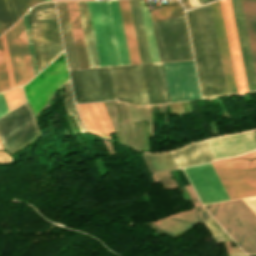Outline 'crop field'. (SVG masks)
<instances>
[{
  "label": "crop field",
  "mask_w": 256,
  "mask_h": 256,
  "mask_svg": "<svg viewBox=\"0 0 256 256\" xmlns=\"http://www.w3.org/2000/svg\"><path fill=\"white\" fill-rule=\"evenodd\" d=\"M100 67L109 66L97 1H87Z\"/></svg>",
  "instance_id": "92a150f3"
},
{
  "label": "crop field",
  "mask_w": 256,
  "mask_h": 256,
  "mask_svg": "<svg viewBox=\"0 0 256 256\" xmlns=\"http://www.w3.org/2000/svg\"><path fill=\"white\" fill-rule=\"evenodd\" d=\"M18 20L11 0H0V34Z\"/></svg>",
  "instance_id": "ae1a2a85"
},
{
  "label": "crop field",
  "mask_w": 256,
  "mask_h": 256,
  "mask_svg": "<svg viewBox=\"0 0 256 256\" xmlns=\"http://www.w3.org/2000/svg\"><path fill=\"white\" fill-rule=\"evenodd\" d=\"M157 175L164 189L176 186L169 172L159 173Z\"/></svg>",
  "instance_id": "e1f06a70"
},
{
  "label": "crop field",
  "mask_w": 256,
  "mask_h": 256,
  "mask_svg": "<svg viewBox=\"0 0 256 256\" xmlns=\"http://www.w3.org/2000/svg\"><path fill=\"white\" fill-rule=\"evenodd\" d=\"M0 149H3L1 144H0ZM9 155L5 154L4 152L0 151V162L2 163H7L10 161Z\"/></svg>",
  "instance_id": "c21b1889"
},
{
  "label": "crop field",
  "mask_w": 256,
  "mask_h": 256,
  "mask_svg": "<svg viewBox=\"0 0 256 256\" xmlns=\"http://www.w3.org/2000/svg\"><path fill=\"white\" fill-rule=\"evenodd\" d=\"M29 26L31 30L35 55L37 59L38 69L42 70L49 64L38 6L36 5L27 13Z\"/></svg>",
  "instance_id": "bc2a9ffb"
},
{
  "label": "crop field",
  "mask_w": 256,
  "mask_h": 256,
  "mask_svg": "<svg viewBox=\"0 0 256 256\" xmlns=\"http://www.w3.org/2000/svg\"><path fill=\"white\" fill-rule=\"evenodd\" d=\"M212 165L230 199L256 195V151Z\"/></svg>",
  "instance_id": "412701ff"
},
{
  "label": "crop field",
  "mask_w": 256,
  "mask_h": 256,
  "mask_svg": "<svg viewBox=\"0 0 256 256\" xmlns=\"http://www.w3.org/2000/svg\"><path fill=\"white\" fill-rule=\"evenodd\" d=\"M67 80L63 53L23 87L27 101L36 117L54 91Z\"/></svg>",
  "instance_id": "e52e79f7"
},
{
  "label": "crop field",
  "mask_w": 256,
  "mask_h": 256,
  "mask_svg": "<svg viewBox=\"0 0 256 256\" xmlns=\"http://www.w3.org/2000/svg\"><path fill=\"white\" fill-rule=\"evenodd\" d=\"M80 68L89 67L76 1L67 2Z\"/></svg>",
  "instance_id": "a9b5d70f"
},
{
  "label": "crop field",
  "mask_w": 256,
  "mask_h": 256,
  "mask_svg": "<svg viewBox=\"0 0 256 256\" xmlns=\"http://www.w3.org/2000/svg\"><path fill=\"white\" fill-rule=\"evenodd\" d=\"M186 15L202 97L227 95L209 4Z\"/></svg>",
  "instance_id": "8a807250"
},
{
  "label": "crop field",
  "mask_w": 256,
  "mask_h": 256,
  "mask_svg": "<svg viewBox=\"0 0 256 256\" xmlns=\"http://www.w3.org/2000/svg\"><path fill=\"white\" fill-rule=\"evenodd\" d=\"M3 93L7 101L9 110H12L13 108L25 101L20 87L4 91Z\"/></svg>",
  "instance_id": "1d83c4d3"
},
{
  "label": "crop field",
  "mask_w": 256,
  "mask_h": 256,
  "mask_svg": "<svg viewBox=\"0 0 256 256\" xmlns=\"http://www.w3.org/2000/svg\"><path fill=\"white\" fill-rule=\"evenodd\" d=\"M178 168L213 160L205 140L170 151Z\"/></svg>",
  "instance_id": "733c2abd"
},
{
  "label": "crop field",
  "mask_w": 256,
  "mask_h": 256,
  "mask_svg": "<svg viewBox=\"0 0 256 256\" xmlns=\"http://www.w3.org/2000/svg\"><path fill=\"white\" fill-rule=\"evenodd\" d=\"M110 66L120 65L108 3L98 1Z\"/></svg>",
  "instance_id": "dafd665d"
},
{
  "label": "crop field",
  "mask_w": 256,
  "mask_h": 256,
  "mask_svg": "<svg viewBox=\"0 0 256 256\" xmlns=\"http://www.w3.org/2000/svg\"><path fill=\"white\" fill-rule=\"evenodd\" d=\"M163 65L171 102L200 98L193 61Z\"/></svg>",
  "instance_id": "28ad6ade"
},
{
  "label": "crop field",
  "mask_w": 256,
  "mask_h": 256,
  "mask_svg": "<svg viewBox=\"0 0 256 256\" xmlns=\"http://www.w3.org/2000/svg\"><path fill=\"white\" fill-rule=\"evenodd\" d=\"M246 204L253 210V212L256 214V197L253 198H245L243 199Z\"/></svg>",
  "instance_id": "c035e120"
},
{
  "label": "crop field",
  "mask_w": 256,
  "mask_h": 256,
  "mask_svg": "<svg viewBox=\"0 0 256 256\" xmlns=\"http://www.w3.org/2000/svg\"><path fill=\"white\" fill-rule=\"evenodd\" d=\"M246 253H256V215L242 199L204 206Z\"/></svg>",
  "instance_id": "34b2d1b8"
},
{
  "label": "crop field",
  "mask_w": 256,
  "mask_h": 256,
  "mask_svg": "<svg viewBox=\"0 0 256 256\" xmlns=\"http://www.w3.org/2000/svg\"><path fill=\"white\" fill-rule=\"evenodd\" d=\"M152 62H159L148 8L140 1Z\"/></svg>",
  "instance_id": "d3111659"
},
{
  "label": "crop field",
  "mask_w": 256,
  "mask_h": 256,
  "mask_svg": "<svg viewBox=\"0 0 256 256\" xmlns=\"http://www.w3.org/2000/svg\"><path fill=\"white\" fill-rule=\"evenodd\" d=\"M130 62L131 64L141 63L138 47L136 43L135 33L133 29L132 19L130 15L129 5L127 0H118Z\"/></svg>",
  "instance_id": "00972430"
},
{
  "label": "crop field",
  "mask_w": 256,
  "mask_h": 256,
  "mask_svg": "<svg viewBox=\"0 0 256 256\" xmlns=\"http://www.w3.org/2000/svg\"><path fill=\"white\" fill-rule=\"evenodd\" d=\"M203 224L209 228L212 235L220 234L224 242L231 240V238L217 225V223L211 217L203 221Z\"/></svg>",
  "instance_id": "5866460e"
},
{
  "label": "crop field",
  "mask_w": 256,
  "mask_h": 256,
  "mask_svg": "<svg viewBox=\"0 0 256 256\" xmlns=\"http://www.w3.org/2000/svg\"><path fill=\"white\" fill-rule=\"evenodd\" d=\"M9 112L3 93H0V117Z\"/></svg>",
  "instance_id": "b80d0937"
},
{
  "label": "crop field",
  "mask_w": 256,
  "mask_h": 256,
  "mask_svg": "<svg viewBox=\"0 0 256 256\" xmlns=\"http://www.w3.org/2000/svg\"><path fill=\"white\" fill-rule=\"evenodd\" d=\"M209 215L202 206L181 212L179 214L157 220L155 223L161 229L171 234L190 227Z\"/></svg>",
  "instance_id": "4a817a6b"
},
{
  "label": "crop field",
  "mask_w": 256,
  "mask_h": 256,
  "mask_svg": "<svg viewBox=\"0 0 256 256\" xmlns=\"http://www.w3.org/2000/svg\"><path fill=\"white\" fill-rule=\"evenodd\" d=\"M23 19H24V24H25V29H26V34H27V39H28V44H29V49H30V54H31L34 74L36 75L38 73V70H37V65H36L33 45H32V41H31V36H30V31H29V26H28V21H27V16L24 15Z\"/></svg>",
  "instance_id": "028f5c9d"
},
{
  "label": "crop field",
  "mask_w": 256,
  "mask_h": 256,
  "mask_svg": "<svg viewBox=\"0 0 256 256\" xmlns=\"http://www.w3.org/2000/svg\"><path fill=\"white\" fill-rule=\"evenodd\" d=\"M76 103L114 100L108 68L70 71Z\"/></svg>",
  "instance_id": "d8731c3e"
},
{
  "label": "crop field",
  "mask_w": 256,
  "mask_h": 256,
  "mask_svg": "<svg viewBox=\"0 0 256 256\" xmlns=\"http://www.w3.org/2000/svg\"><path fill=\"white\" fill-rule=\"evenodd\" d=\"M1 38H2L3 48H4V52H5V57H6L7 67H8V72H9V76H10L11 86H12V88H13L14 85H13V79H12V74H11L10 63H9L8 52H7V47H6V42H5V36H4V34L1 35Z\"/></svg>",
  "instance_id": "0bd39190"
},
{
  "label": "crop field",
  "mask_w": 256,
  "mask_h": 256,
  "mask_svg": "<svg viewBox=\"0 0 256 256\" xmlns=\"http://www.w3.org/2000/svg\"><path fill=\"white\" fill-rule=\"evenodd\" d=\"M90 67H99L86 1H77Z\"/></svg>",
  "instance_id": "4177f3b9"
},
{
  "label": "crop field",
  "mask_w": 256,
  "mask_h": 256,
  "mask_svg": "<svg viewBox=\"0 0 256 256\" xmlns=\"http://www.w3.org/2000/svg\"><path fill=\"white\" fill-rule=\"evenodd\" d=\"M220 2H221L225 29H226V34H227V39L229 44L232 65H233L237 92L238 94L246 93L247 88H246L244 72H243L239 47H238V41H237V36H236V31H235V26H234V21L232 16L230 0H226V1L220 0ZM220 2L219 0L212 2L210 3V6H211L215 32H216V37H217V42H218L223 72H224L227 93L228 95H233V94H237V92H236L232 65H231L228 44H227V39H226V34L224 29Z\"/></svg>",
  "instance_id": "ac0d7876"
},
{
  "label": "crop field",
  "mask_w": 256,
  "mask_h": 256,
  "mask_svg": "<svg viewBox=\"0 0 256 256\" xmlns=\"http://www.w3.org/2000/svg\"><path fill=\"white\" fill-rule=\"evenodd\" d=\"M115 100L148 105L140 65L109 68Z\"/></svg>",
  "instance_id": "5a996713"
},
{
  "label": "crop field",
  "mask_w": 256,
  "mask_h": 256,
  "mask_svg": "<svg viewBox=\"0 0 256 256\" xmlns=\"http://www.w3.org/2000/svg\"><path fill=\"white\" fill-rule=\"evenodd\" d=\"M35 123L27 105L23 104L5 117L0 119V140L4 142L19 131Z\"/></svg>",
  "instance_id": "d9b57169"
},
{
  "label": "crop field",
  "mask_w": 256,
  "mask_h": 256,
  "mask_svg": "<svg viewBox=\"0 0 256 256\" xmlns=\"http://www.w3.org/2000/svg\"><path fill=\"white\" fill-rule=\"evenodd\" d=\"M65 88H66V94H67V97L64 99V103H65V106H66V110H67V113L69 115V117H71V115H73V118L80 130V132H84V129L82 127V124H81V121L79 119V116L77 114V111H76V108L74 106V102H73V97H72V92H71V88H70V83L69 81L66 82L65 84Z\"/></svg>",
  "instance_id": "bd1437ed"
},
{
  "label": "crop field",
  "mask_w": 256,
  "mask_h": 256,
  "mask_svg": "<svg viewBox=\"0 0 256 256\" xmlns=\"http://www.w3.org/2000/svg\"><path fill=\"white\" fill-rule=\"evenodd\" d=\"M149 105L170 102L163 65H141Z\"/></svg>",
  "instance_id": "cbeb9de0"
},
{
  "label": "crop field",
  "mask_w": 256,
  "mask_h": 256,
  "mask_svg": "<svg viewBox=\"0 0 256 256\" xmlns=\"http://www.w3.org/2000/svg\"><path fill=\"white\" fill-rule=\"evenodd\" d=\"M10 81L8 77L6 62L4 58L3 48L0 39V91L10 89Z\"/></svg>",
  "instance_id": "120bbe31"
},
{
  "label": "crop field",
  "mask_w": 256,
  "mask_h": 256,
  "mask_svg": "<svg viewBox=\"0 0 256 256\" xmlns=\"http://www.w3.org/2000/svg\"><path fill=\"white\" fill-rule=\"evenodd\" d=\"M215 159L236 156L256 149L249 131L206 140Z\"/></svg>",
  "instance_id": "22f410ed"
},
{
  "label": "crop field",
  "mask_w": 256,
  "mask_h": 256,
  "mask_svg": "<svg viewBox=\"0 0 256 256\" xmlns=\"http://www.w3.org/2000/svg\"><path fill=\"white\" fill-rule=\"evenodd\" d=\"M152 24L160 62L193 59L184 15Z\"/></svg>",
  "instance_id": "dd49c442"
},
{
  "label": "crop field",
  "mask_w": 256,
  "mask_h": 256,
  "mask_svg": "<svg viewBox=\"0 0 256 256\" xmlns=\"http://www.w3.org/2000/svg\"><path fill=\"white\" fill-rule=\"evenodd\" d=\"M256 71V0H242ZM241 0H231L248 90L256 89V76ZM249 91V92H254Z\"/></svg>",
  "instance_id": "f4fd0767"
},
{
  "label": "crop field",
  "mask_w": 256,
  "mask_h": 256,
  "mask_svg": "<svg viewBox=\"0 0 256 256\" xmlns=\"http://www.w3.org/2000/svg\"><path fill=\"white\" fill-rule=\"evenodd\" d=\"M108 3L110 8L120 63L121 65L130 64L122 22H121V17H120V12H119V7H118V2L117 0H112V1H108Z\"/></svg>",
  "instance_id": "730fd06b"
},
{
  "label": "crop field",
  "mask_w": 256,
  "mask_h": 256,
  "mask_svg": "<svg viewBox=\"0 0 256 256\" xmlns=\"http://www.w3.org/2000/svg\"><path fill=\"white\" fill-rule=\"evenodd\" d=\"M152 21L177 16L183 14V10L178 2L169 3L157 10L151 11Z\"/></svg>",
  "instance_id": "750c4746"
},
{
  "label": "crop field",
  "mask_w": 256,
  "mask_h": 256,
  "mask_svg": "<svg viewBox=\"0 0 256 256\" xmlns=\"http://www.w3.org/2000/svg\"><path fill=\"white\" fill-rule=\"evenodd\" d=\"M248 256H256V255H248Z\"/></svg>",
  "instance_id": "d23c7cc5"
},
{
  "label": "crop field",
  "mask_w": 256,
  "mask_h": 256,
  "mask_svg": "<svg viewBox=\"0 0 256 256\" xmlns=\"http://www.w3.org/2000/svg\"><path fill=\"white\" fill-rule=\"evenodd\" d=\"M69 69L79 68L66 2H56Z\"/></svg>",
  "instance_id": "214f88e0"
},
{
  "label": "crop field",
  "mask_w": 256,
  "mask_h": 256,
  "mask_svg": "<svg viewBox=\"0 0 256 256\" xmlns=\"http://www.w3.org/2000/svg\"><path fill=\"white\" fill-rule=\"evenodd\" d=\"M37 134H39L38 129L36 124H33L6 142L2 143V145L6 151L10 152Z\"/></svg>",
  "instance_id": "eef30255"
},
{
  "label": "crop field",
  "mask_w": 256,
  "mask_h": 256,
  "mask_svg": "<svg viewBox=\"0 0 256 256\" xmlns=\"http://www.w3.org/2000/svg\"><path fill=\"white\" fill-rule=\"evenodd\" d=\"M190 4L192 5V7L199 5L197 0H189Z\"/></svg>",
  "instance_id": "03da06ac"
},
{
  "label": "crop field",
  "mask_w": 256,
  "mask_h": 256,
  "mask_svg": "<svg viewBox=\"0 0 256 256\" xmlns=\"http://www.w3.org/2000/svg\"><path fill=\"white\" fill-rule=\"evenodd\" d=\"M251 133H252V135H253V137H254V139L256 141V130H251Z\"/></svg>",
  "instance_id": "5d738f31"
},
{
  "label": "crop field",
  "mask_w": 256,
  "mask_h": 256,
  "mask_svg": "<svg viewBox=\"0 0 256 256\" xmlns=\"http://www.w3.org/2000/svg\"><path fill=\"white\" fill-rule=\"evenodd\" d=\"M184 169L203 204L229 199L211 163Z\"/></svg>",
  "instance_id": "d1516ede"
},
{
  "label": "crop field",
  "mask_w": 256,
  "mask_h": 256,
  "mask_svg": "<svg viewBox=\"0 0 256 256\" xmlns=\"http://www.w3.org/2000/svg\"><path fill=\"white\" fill-rule=\"evenodd\" d=\"M44 1H48V0H44Z\"/></svg>",
  "instance_id": "425ffa30"
},
{
  "label": "crop field",
  "mask_w": 256,
  "mask_h": 256,
  "mask_svg": "<svg viewBox=\"0 0 256 256\" xmlns=\"http://www.w3.org/2000/svg\"><path fill=\"white\" fill-rule=\"evenodd\" d=\"M6 42L9 52L14 85L20 86L32 79V67L26 41V35L21 18L6 33Z\"/></svg>",
  "instance_id": "3316defc"
},
{
  "label": "crop field",
  "mask_w": 256,
  "mask_h": 256,
  "mask_svg": "<svg viewBox=\"0 0 256 256\" xmlns=\"http://www.w3.org/2000/svg\"><path fill=\"white\" fill-rule=\"evenodd\" d=\"M198 1H199L200 5H202V4L211 2V1H213V0H198Z\"/></svg>",
  "instance_id": "b54c1fbb"
},
{
  "label": "crop field",
  "mask_w": 256,
  "mask_h": 256,
  "mask_svg": "<svg viewBox=\"0 0 256 256\" xmlns=\"http://www.w3.org/2000/svg\"><path fill=\"white\" fill-rule=\"evenodd\" d=\"M42 1L43 0H12L18 18H20L30 6L32 7L35 3Z\"/></svg>",
  "instance_id": "d32e631a"
},
{
  "label": "crop field",
  "mask_w": 256,
  "mask_h": 256,
  "mask_svg": "<svg viewBox=\"0 0 256 256\" xmlns=\"http://www.w3.org/2000/svg\"><path fill=\"white\" fill-rule=\"evenodd\" d=\"M87 131L111 140L114 132L102 103L76 105Z\"/></svg>",
  "instance_id": "5142ce71"
}]
</instances>
